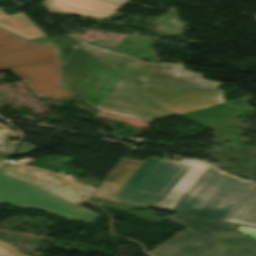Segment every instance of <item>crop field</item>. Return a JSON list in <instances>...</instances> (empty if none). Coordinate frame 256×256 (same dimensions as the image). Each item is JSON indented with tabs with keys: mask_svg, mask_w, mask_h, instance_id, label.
I'll return each mask as SVG.
<instances>
[{
	"mask_svg": "<svg viewBox=\"0 0 256 256\" xmlns=\"http://www.w3.org/2000/svg\"><path fill=\"white\" fill-rule=\"evenodd\" d=\"M9 69L38 97L74 95L62 88L59 48L22 13L0 10V70Z\"/></svg>",
	"mask_w": 256,
	"mask_h": 256,
	"instance_id": "obj_1",
	"label": "crop field"
},
{
	"mask_svg": "<svg viewBox=\"0 0 256 256\" xmlns=\"http://www.w3.org/2000/svg\"><path fill=\"white\" fill-rule=\"evenodd\" d=\"M93 189L47 171L12 163L0 165V204L31 207L90 223L99 215L81 207Z\"/></svg>",
	"mask_w": 256,
	"mask_h": 256,
	"instance_id": "obj_2",
	"label": "crop field"
},
{
	"mask_svg": "<svg viewBox=\"0 0 256 256\" xmlns=\"http://www.w3.org/2000/svg\"><path fill=\"white\" fill-rule=\"evenodd\" d=\"M167 219L187 227L150 253L153 256H256V240L236 224L176 213Z\"/></svg>",
	"mask_w": 256,
	"mask_h": 256,
	"instance_id": "obj_3",
	"label": "crop field"
},
{
	"mask_svg": "<svg viewBox=\"0 0 256 256\" xmlns=\"http://www.w3.org/2000/svg\"><path fill=\"white\" fill-rule=\"evenodd\" d=\"M254 185L204 164L164 210L224 221Z\"/></svg>",
	"mask_w": 256,
	"mask_h": 256,
	"instance_id": "obj_4",
	"label": "crop field"
},
{
	"mask_svg": "<svg viewBox=\"0 0 256 256\" xmlns=\"http://www.w3.org/2000/svg\"><path fill=\"white\" fill-rule=\"evenodd\" d=\"M202 165L195 160L172 162L147 158L113 199L164 209L171 199L140 192L147 190L150 194L173 198Z\"/></svg>",
	"mask_w": 256,
	"mask_h": 256,
	"instance_id": "obj_5",
	"label": "crop field"
},
{
	"mask_svg": "<svg viewBox=\"0 0 256 256\" xmlns=\"http://www.w3.org/2000/svg\"><path fill=\"white\" fill-rule=\"evenodd\" d=\"M79 45L100 63L126 77L181 88L217 89L222 84L202 79L204 74L181 69L183 64H149L83 41Z\"/></svg>",
	"mask_w": 256,
	"mask_h": 256,
	"instance_id": "obj_6",
	"label": "crop field"
},
{
	"mask_svg": "<svg viewBox=\"0 0 256 256\" xmlns=\"http://www.w3.org/2000/svg\"><path fill=\"white\" fill-rule=\"evenodd\" d=\"M61 65L63 87L97 109L119 76L101 67L78 46Z\"/></svg>",
	"mask_w": 256,
	"mask_h": 256,
	"instance_id": "obj_7",
	"label": "crop field"
},
{
	"mask_svg": "<svg viewBox=\"0 0 256 256\" xmlns=\"http://www.w3.org/2000/svg\"><path fill=\"white\" fill-rule=\"evenodd\" d=\"M98 110L144 120H157L174 115L143 94V82L119 77Z\"/></svg>",
	"mask_w": 256,
	"mask_h": 256,
	"instance_id": "obj_8",
	"label": "crop field"
},
{
	"mask_svg": "<svg viewBox=\"0 0 256 256\" xmlns=\"http://www.w3.org/2000/svg\"><path fill=\"white\" fill-rule=\"evenodd\" d=\"M44 6L55 12L94 18H108L122 7L102 0H46Z\"/></svg>",
	"mask_w": 256,
	"mask_h": 256,
	"instance_id": "obj_9",
	"label": "crop field"
},
{
	"mask_svg": "<svg viewBox=\"0 0 256 256\" xmlns=\"http://www.w3.org/2000/svg\"><path fill=\"white\" fill-rule=\"evenodd\" d=\"M142 162V160L136 159H121L119 164L92 195L112 199Z\"/></svg>",
	"mask_w": 256,
	"mask_h": 256,
	"instance_id": "obj_10",
	"label": "crop field"
},
{
	"mask_svg": "<svg viewBox=\"0 0 256 256\" xmlns=\"http://www.w3.org/2000/svg\"><path fill=\"white\" fill-rule=\"evenodd\" d=\"M152 99L156 100L157 102L161 103L163 106H165L167 109H169L171 112L175 113L176 115L222 103V97H204V98H191V97H177L176 100L173 99H167V98H162V97H157V96H151ZM160 104V105H161Z\"/></svg>",
	"mask_w": 256,
	"mask_h": 256,
	"instance_id": "obj_11",
	"label": "crop field"
},
{
	"mask_svg": "<svg viewBox=\"0 0 256 256\" xmlns=\"http://www.w3.org/2000/svg\"><path fill=\"white\" fill-rule=\"evenodd\" d=\"M225 221L256 227V185Z\"/></svg>",
	"mask_w": 256,
	"mask_h": 256,
	"instance_id": "obj_12",
	"label": "crop field"
},
{
	"mask_svg": "<svg viewBox=\"0 0 256 256\" xmlns=\"http://www.w3.org/2000/svg\"><path fill=\"white\" fill-rule=\"evenodd\" d=\"M144 93L173 98V99H176L177 96H192V97L222 96L221 90L219 91L179 90V89L161 87V86H157V85H153L145 82H144Z\"/></svg>",
	"mask_w": 256,
	"mask_h": 256,
	"instance_id": "obj_13",
	"label": "crop field"
},
{
	"mask_svg": "<svg viewBox=\"0 0 256 256\" xmlns=\"http://www.w3.org/2000/svg\"><path fill=\"white\" fill-rule=\"evenodd\" d=\"M14 137H18L17 132L0 123V151L12 153L19 142L9 140Z\"/></svg>",
	"mask_w": 256,
	"mask_h": 256,
	"instance_id": "obj_14",
	"label": "crop field"
},
{
	"mask_svg": "<svg viewBox=\"0 0 256 256\" xmlns=\"http://www.w3.org/2000/svg\"><path fill=\"white\" fill-rule=\"evenodd\" d=\"M0 256H25L13 249L12 246L0 241Z\"/></svg>",
	"mask_w": 256,
	"mask_h": 256,
	"instance_id": "obj_15",
	"label": "crop field"
},
{
	"mask_svg": "<svg viewBox=\"0 0 256 256\" xmlns=\"http://www.w3.org/2000/svg\"><path fill=\"white\" fill-rule=\"evenodd\" d=\"M37 148H39V147L34 145V144L22 142V144L17 149V152H21V153L27 154V153H29V152L37 149Z\"/></svg>",
	"mask_w": 256,
	"mask_h": 256,
	"instance_id": "obj_16",
	"label": "crop field"
},
{
	"mask_svg": "<svg viewBox=\"0 0 256 256\" xmlns=\"http://www.w3.org/2000/svg\"><path fill=\"white\" fill-rule=\"evenodd\" d=\"M237 230L240 231V232H243V233H245L247 235H250V236H252L254 238H256V229L255 228H249V227L240 226V227H238Z\"/></svg>",
	"mask_w": 256,
	"mask_h": 256,
	"instance_id": "obj_17",
	"label": "crop field"
},
{
	"mask_svg": "<svg viewBox=\"0 0 256 256\" xmlns=\"http://www.w3.org/2000/svg\"><path fill=\"white\" fill-rule=\"evenodd\" d=\"M106 1L123 5V4H125L126 2H128L129 0H106Z\"/></svg>",
	"mask_w": 256,
	"mask_h": 256,
	"instance_id": "obj_18",
	"label": "crop field"
},
{
	"mask_svg": "<svg viewBox=\"0 0 256 256\" xmlns=\"http://www.w3.org/2000/svg\"><path fill=\"white\" fill-rule=\"evenodd\" d=\"M8 154L6 153H0V158H5Z\"/></svg>",
	"mask_w": 256,
	"mask_h": 256,
	"instance_id": "obj_19",
	"label": "crop field"
},
{
	"mask_svg": "<svg viewBox=\"0 0 256 256\" xmlns=\"http://www.w3.org/2000/svg\"><path fill=\"white\" fill-rule=\"evenodd\" d=\"M143 193H147L146 191H143Z\"/></svg>",
	"mask_w": 256,
	"mask_h": 256,
	"instance_id": "obj_20",
	"label": "crop field"
},
{
	"mask_svg": "<svg viewBox=\"0 0 256 256\" xmlns=\"http://www.w3.org/2000/svg\"><path fill=\"white\" fill-rule=\"evenodd\" d=\"M3 159H0V161H2Z\"/></svg>",
	"mask_w": 256,
	"mask_h": 256,
	"instance_id": "obj_21",
	"label": "crop field"
}]
</instances>
